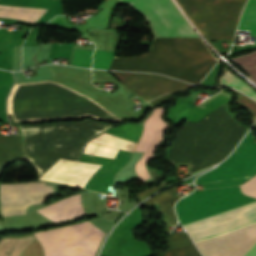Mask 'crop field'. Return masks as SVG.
I'll return each instance as SVG.
<instances>
[{
    "instance_id": "obj_4",
    "label": "crop field",
    "mask_w": 256,
    "mask_h": 256,
    "mask_svg": "<svg viewBox=\"0 0 256 256\" xmlns=\"http://www.w3.org/2000/svg\"><path fill=\"white\" fill-rule=\"evenodd\" d=\"M207 38L232 40L246 0H177Z\"/></svg>"
},
{
    "instance_id": "obj_17",
    "label": "crop field",
    "mask_w": 256,
    "mask_h": 256,
    "mask_svg": "<svg viewBox=\"0 0 256 256\" xmlns=\"http://www.w3.org/2000/svg\"><path fill=\"white\" fill-rule=\"evenodd\" d=\"M114 53L95 51L93 55L92 68L107 69Z\"/></svg>"
},
{
    "instance_id": "obj_22",
    "label": "crop field",
    "mask_w": 256,
    "mask_h": 256,
    "mask_svg": "<svg viewBox=\"0 0 256 256\" xmlns=\"http://www.w3.org/2000/svg\"><path fill=\"white\" fill-rule=\"evenodd\" d=\"M165 184H166V183L161 182L159 185L149 187V188H147V189H145V190H143V191L137 193L135 196H136V198L140 201V200H142L143 198H145V197H143V196L149 195L150 193H152V192L158 190L159 188L165 186Z\"/></svg>"
},
{
    "instance_id": "obj_14",
    "label": "crop field",
    "mask_w": 256,
    "mask_h": 256,
    "mask_svg": "<svg viewBox=\"0 0 256 256\" xmlns=\"http://www.w3.org/2000/svg\"><path fill=\"white\" fill-rule=\"evenodd\" d=\"M221 83L222 86L234 87L245 93L247 96L256 100V93L254 92V90L228 71H226L224 76L221 78Z\"/></svg>"
},
{
    "instance_id": "obj_16",
    "label": "crop field",
    "mask_w": 256,
    "mask_h": 256,
    "mask_svg": "<svg viewBox=\"0 0 256 256\" xmlns=\"http://www.w3.org/2000/svg\"><path fill=\"white\" fill-rule=\"evenodd\" d=\"M235 62L243 66V68L256 64V52L243 55L233 59ZM251 77L256 81V68L254 66L245 68Z\"/></svg>"
},
{
    "instance_id": "obj_24",
    "label": "crop field",
    "mask_w": 256,
    "mask_h": 256,
    "mask_svg": "<svg viewBox=\"0 0 256 256\" xmlns=\"http://www.w3.org/2000/svg\"><path fill=\"white\" fill-rule=\"evenodd\" d=\"M236 184H243L242 181H234V182H229V183H223V184H220L221 187H224V186H230V185H236Z\"/></svg>"
},
{
    "instance_id": "obj_11",
    "label": "crop field",
    "mask_w": 256,
    "mask_h": 256,
    "mask_svg": "<svg viewBox=\"0 0 256 256\" xmlns=\"http://www.w3.org/2000/svg\"><path fill=\"white\" fill-rule=\"evenodd\" d=\"M175 192V187L163 191L147 200L143 204H158V211L164 214V223L166 226H174L176 223V216L173 212V204L180 197H173L170 194Z\"/></svg>"
},
{
    "instance_id": "obj_1",
    "label": "crop field",
    "mask_w": 256,
    "mask_h": 256,
    "mask_svg": "<svg viewBox=\"0 0 256 256\" xmlns=\"http://www.w3.org/2000/svg\"><path fill=\"white\" fill-rule=\"evenodd\" d=\"M149 21L156 36L198 37L171 0H120ZM199 38H155L151 52L114 57L109 69L150 71L197 84L216 63Z\"/></svg>"
},
{
    "instance_id": "obj_15",
    "label": "crop field",
    "mask_w": 256,
    "mask_h": 256,
    "mask_svg": "<svg viewBox=\"0 0 256 256\" xmlns=\"http://www.w3.org/2000/svg\"><path fill=\"white\" fill-rule=\"evenodd\" d=\"M165 241L168 250L174 247L192 244L191 239L186 233H170V235L166 237Z\"/></svg>"
},
{
    "instance_id": "obj_25",
    "label": "crop field",
    "mask_w": 256,
    "mask_h": 256,
    "mask_svg": "<svg viewBox=\"0 0 256 256\" xmlns=\"http://www.w3.org/2000/svg\"><path fill=\"white\" fill-rule=\"evenodd\" d=\"M220 187L219 184L203 186V189Z\"/></svg>"
},
{
    "instance_id": "obj_21",
    "label": "crop field",
    "mask_w": 256,
    "mask_h": 256,
    "mask_svg": "<svg viewBox=\"0 0 256 256\" xmlns=\"http://www.w3.org/2000/svg\"><path fill=\"white\" fill-rule=\"evenodd\" d=\"M239 95L242 96L239 104L245 106L252 114L256 116V103L249 99L248 97L238 93Z\"/></svg>"
},
{
    "instance_id": "obj_5",
    "label": "crop field",
    "mask_w": 256,
    "mask_h": 256,
    "mask_svg": "<svg viewBox=\"0 0 256 256\" xmlns=\"http://www.w3.org/2000/svg\"><path fill=\"white\" fill-rule=\"evenodd\" d=\"M34 235L45 256H94L104 233L87 221Z\"/></svg>"
},
{
    "instance_id": "obj_10",
    "label": "crop field",
    "mask_w": 256,
    "mask_h": 256,
    "mask_svg": "<svg viewBox=\"0 0 256 256\" xmlns=\"http://www.w3.org/2000/svg\"><path fill=\"white\" fill-rule=\"evenodd\" d=\"M163 107L155 108L152 116L146 119L141 139L135 149V151H145L141 159L135 163V171L140 181L149 178L145 163L153 157V150L156 144L161 141L162 133L170 126L169 123L161 119V115L164 112Z\"/></svg>"
},
{
    "instance_id": "obj_8",
    "label": "crop field",
    "mask_w": 256,
    "mask_h": 256,
    "mask_svg": "<svg viewBox=\"0 0 256 256\" xmlns=\"http://www.w3.org/2000/svg\"><path fill=\"white\" fill-rule=\"evenodd\" d=\"M196 246L203 256H256V224Z\"/></svg>"
},
{
    "instance_id": "obj_20",
    "label": "crop field",
    "mask_w": 256,
    "mask_h": 256,
    "mask_svg": "<svg viewBox=\"0 0 256 256\" xmlns=\"http://www.w3.org/2000/svg\"><path fill=\"white\" fill-rule=\"evenodd\" d=\"M242 193L256 198V176L240 185Z\"/></svg>"
},
{
    "instance_id": "obj_18",
    "label": "crop field",
    "mask_w": 256,
    "mask_h": 256,
    "mask_svg": "<svg viewBox=\"0 0 256 256\" xmlns=\"http://www.w3.org/2000/svg\"><path fill=\"white\" fill-rule=\"evenodd\" d=\"M92 52L89 50L75 49L72 65L90 67Z\"/></svg>"
},
{
    "instance_id": "obj_13",
    "label": "crop field",
    "mask_w": 256,
    "mask_h": 256,
    "mask_svg": "<svg viewBox=\"0 0 256 256\" xmlns=\"http://www.w3.org/2000/svg\"><path fill=\"white\" fill-rule=\"evenodd\" d=\"M238 29L251 30L250 35L256 36V0L248 1L241 16Z\"/></svg>"
},
{
    "instance_id": "obj_9",
    "label": "crop field",
    "mask_w": 256,
    "mask_h": 256,
    "mask_svg": "<svg viewBox=\"0 0 256 256\" xmlns=\"http://www.w3.org/2000/svg\"><path fill=\"white\" fill-rule=\"evenodd\" d=\"M122 84L133 90L146 101L163 93L181 91L193 85L155 74L112 72Z\"/></svg>"
},
{
    "instance_id": "obj_12",
    "label": "crop field",
    "mask_w": 256,
    "mask_h": 256,
    "mask_svg": "<svg viewBox=\"0 0 256 256\" xmlns=\"http://www.w3.org/2000/svg\"><path fill=\"white\" fill-rule=\"evenodd\" d=\"M45 11L44 9L37 8L0 5V16L18 18L33 23H35Z\"/></svg>"
},
{
    "instance_id": "obj_7",
    "label": "crop field",
    "mask_w": 256,
    "mask_h": 256,
    "mask_svg": "<svg viewBox=\"0 0 256 256\" xmlns=\"http://www.w3.org/2000/svg\"><path fill=\"white\" fill-rule=\"evenodd\" d=\"M53 192L52 186L40 182L0 185L1 215L26 214L28 205L42 202Z\"/></svg>"
},
{
    "instance_id": "obj_26",
    "label": "crop field",
    "mask_w": 256,
    "mask_h": 256,
    "mask_svg": "<svg viewBox=\"0 0 256 256\" xmlns=\"http://www.w3.org/2000/svg\"><path fill=\"white\" fill-rule=\"evenodd\" d=\"M3 231V229H2V227H1V225H0V232H2Z\"/></svg>"
},
{
    "instance_id": "obj_27",
    "label": "crop field",
    "mask_w": 256,
    "mask_h": 256,
    "mask_svg": "<svg viewBox=\"0 0 256 256\" xmlns=\"http://www.w3.org/2000/svg\"><path fill=\"white\" fill-rule=\"evenodd\" d=\"M255 127H256V125H255Z\"/></svg>"
},
{
    "instance_id": "obj_2",
    "label": "crop field",
    "mask_w": 256,
    "mask_h": 256,
    "mask_svg": "<svg viewBox=\"0 0 256 256\" xmlns=\"http://www.w3.org/2000/svg\"><path fill=\"white\" fill-rule=\"evenodd\" d=\"M255 200L241 194L238 186L195 190L194 193L180 199L175 205V210L183 225ZM253 223H256V201L210 218L188 223L183 227L196 243L225 235Z\"/></svg>"
},
{
    "instance_id": "obj_6",
    "label": "crop field",
    "mask_w": 256,
    "mask_h": 256,
    "mask_svg": "<svg viewBox=\"0 0 256 256\" xmlns=\"http://www.w3.org/2000/svg\"><path fill=\"white\" fill-rule=\"evenodd\" d=\"M255 175L256 141L248 134L225 162L198 177L195 184L205 185L238 179L248 180Z\"/></svg>"
},
{
    "instance_id": "obj_19",
    "label": "crop field",
    "mask_w": 256,
    "mask_h": 256,
    "mask_svg": "<svg viewBox=\"0 0 256 256\" xmlns=\"http://www.w3.org/2000/svg\"><path fill=\"white\" fill-rule=\"evenodd\" d=\"M162 256H201L198 251L196 250L194 244L171 249L169 252L163 253Z\"/></svg>"
},
{
    "instance_id": "obj_3",
    "label": "crop field",
    "mask_w": 256,
    "mask_h": 256,
    "mask_svg": "<svg viewBox=\"0 0 256 256\" xmlns=\"http://www.w3.org/2000/svg\"><path fill=\"white\" fill-rule=\"evenodd\" d=\"M245 130L221 105L197 123L187 121L168 159L173 163H188L190 173L203 169L225 157Z\"/></svg>"
},
{
    "instance_id": "obj_23",
    "label": "crop field",
    "mask_w": 256,
    "mask_h": 256,
    "mask_svg": "<svg viewBox=\"0 0 256 256\" xmlns=\"http://www.w3.org/2000/svg\"><path fill=\"white\" fill-rule=\"evenodd\" d=\"M171 94H172V93L167 94V95L160 96V97H158V98H156V99L150 101L149 103H150V104L152 105V107H153V106H155V105H157V104H159V103H161V102L167 100V99L171 96Z\"/></svg>"
}]
</instances>
